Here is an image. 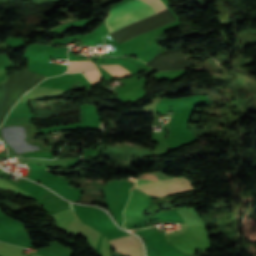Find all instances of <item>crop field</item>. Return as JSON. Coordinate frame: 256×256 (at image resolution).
<instances>
[{
  "mask_svg": "<svg viewBox=\"0 0 256 256\" xmlns=\"http://www.w3.org/2000/svg\"><path fill=\"white\" fill-rule=\"evenodd\" d=\"M46 77L28 71L26 69L8 75L3 106L0 117V124L13 104L30 88L38 84Z\"/></svg>",
  "mask_w": 256,
  "mask_h": 256,
  "instance_id": "crop-field-1",
  "label": "crop field"
},
{
  "mask_svg": "<svg viewBox=\"0 0 256 256\" xmlns=\"http://www.w3.org/2000/svg\"><path fill=\"white\" fill-rule=\"evenodd\" d=\"M154 14L152 7L140 0H133L129 3L109 10L105 18V24L109 33L129 24Z\"/></svg>",
  "mask_w": 256,
  "mask_h": 256,
  "instance_id": "crop-field-2",
  "label": "crop field"
},
{
  "mask_svg": "<svg viewBox=\"0 0 256 256\" xmlns=\"http://www.w3.org/2000/svg\"><path fill=\"white\" fill-rule=\"evenodd\" d=\"M160 177H168V176L162 173H152L151 179L160 178ZM148 183H149V187H142V186H148ZM148 183L147 181L136 180L134 187H142L139 189L151 195H159V196L169 195V194L193 189L188 179L183 176L148 180Z\"/></svg>",
  "mask_w": 256,
  "mask_h": 256,
  "instance_id": "crop-field-3",
  "label": "crop field"
},
{
  "mask_svg": "<svg viewBox=\"0 0 256 256\" xmlns=\"http://www.w3.org/2000/svg\"><path fill=\"white\" fill-rule=\"evenodd\" d=\"M115 251L126 256H143V249L139 239L133 235L110 240Z\"/></svg>",
  "mask_w": 256,
  "mask_h": 256,
  "instance_id": "crop-field-4",
  "label": "crop field"
},
{
  "mask_svg": "<svg viewBox=\"0 0 256 256\" xmlns=\"http://www.w3.org/2000/svg\"><path fill=\"white\" fill-rule=\"evenodd\" d=\"M85 71L84 75L88 80L94 84L100 81V74L96 65L91 61H76L69 62V68L67 72Z\"/></svg>",
  "mask_w": 256,
  "mask_h": 256,
  "instance_id": "crop-field-5",
  "label": "crop field"
},
{
  "mask_svg": "<svg viewBox=\"0 0 256 256\" xmlns=\"http://www.w3.org/2000/svg\"><path fill=\"white\" fill-rule=\"evenodd\" d=\"M99 66L104 68L106 71L111 73L116 78L131 75L130 72H128L125 68H123L119 65H99Z\"/></svg>",
  "mask_w": 256,
  "mask_h": 256,
  "instance_id": "crop-field-6",
  "label": "crop field"
},
{
  "mask_svg": "<svg viewBox=\"0 0 256 256\" xmlns=\"http://www.w3.org/2000/svg\"><path fill=\"white\" fill-rule=\"evenodd\" d=\"M149 3L155 10L156 14L167 9L160 0H143Z\"/></svg>",
  "mask_w": 256,
  "mask_h": 256,
  "instance_id": "crop-field-7",
  "label": "crop field"
}]
</instances>
